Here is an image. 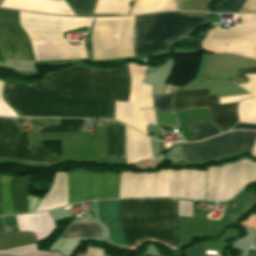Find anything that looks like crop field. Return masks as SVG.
Returning a JSON list of instances; mask_svg holds the SVG:
<instances>
[{
    "label": "crop field",
    "instance_id": "1",
    "mask_svg": "<svg viewBox=\"0 0 256 256\" xmlns=\"http://www.w3.org/2000/svg\"><path fill=\"white\" fill-rule=\"evenodd\" d=\"M58 93L34 89V85H5L3 89L4 100L19 116L114 119V101Z\"/></svg>",
    "mask_w": 256,
    "mask_h": 256
},
{
    "label": "crop field",
    "instance_id": "2",
    "mask_svg": "<svg viewBox=\"0 0 256 256\" xmlns=\"http://www.w3.org/2000/svg\"><path fill=\"white\" fill-rule=\"evenodd\" d=\"M35 88L94 99L127 101L128 67L93 70L75 66L69 70L48 74L45 80L36 81Z\"/></svg>",
    "mask_w": 256,
    "mask_h": 256
},
{
    "label": "crop field",
    "instance_id": "3",
    "mask_svg": "<svg viewBox=\"0 0 256 256\" xmlns=\"http://www.w3.org/2000/svg\"><path fill=\"white\" fill-rule=\"evenodd\" d=\"M128 248L146 238L176 246V199L119 200Z\"/></svg>",
    "mask_w": 256,
    "mask_h": 256
},
{
    "label": "crop field",
    "instance_id": "4",
    "mask_svg": "<svg viewBox=\"0 0 256 256\" xmlns=\"http://www.w3.org/2000/svg\"><path fill=\"white\" fill-rule=\"evenodd\" d=\"M36 61L86 58L83 46H70L62 34L88 26L91 18H69L19 12Z\"/></svg>",
    "mask_w": 256,
    "mask_h": 256
},
{
    "label": "crop field",
    "instance_id": "5",
    "mask_svg": "<svg viewBox=\"0 0 256 256\" xmlns=\"http://www.w3.org/2000/svg\"><path fill=\"white\" fill-rule=\"evenodd\" d=\"M209 16L163 12L135 16L132 46L135 57L166 52L177 40L188 35L192 29Z\"/></svg>",
    "mask_w": 256,
    "mask_h": 256
},
{
    "label": "crop field",
    "instance_id": "6",
    "mask_svg": "<svg viewBox=\"0 0 256 256\" xmlns=\"http://www.w3.org/2000/svg\"><path fill=\"white\" fill-rule=\"evenodd\" d=\"M119 173L91 172L87 169L67 172L68 204L92 199L118 198Z\"/></svg>",
    "mask_w": 256,
    "mask_h": 256
},
{
    "label": "crop field",
    "instance_id": "7",
    "mask_svg": "<svg viewBox=\"0 0 256 256\" xmlns=\"http://www.w3.org/2000/svg\"><path fill=\"white\" fill-rule=\"evenodd\" d=\"M17 118H0V159L12 160L17 132ZM28 132L20 131L15 147L14 159L50 164L57 162V156L30 141Z\"/></svg>",
    "mask_w": 256,
    "mask_h": 256
},
{
    "label": "crop field",
    "instance_id": "8",
    "mask_svg": "<svg viewBox=\"0 0 256 256\" xmlns=\"http://www.w3.org/2000/svg\"><path fill=\"white\" fill-rule=\"evenodd\" d=\"M173 111L208 107L210 120L223 132L237 123L236 102L219 104L218 95L209 90L176 91L172 98Z\"/></svg>",
    "mask_w": 256,
    "mask_h": 256
},
{
    "label": "crop field",
    "instance_id": "9",
    "mask_svg": "<svg viewBox=\"0 0 256 256\" xmlns=\"http://www.w3.org/2000/svg\"><path fill=\"white\" fill-rule=\"evenodd\" d=\"M256 132L233 131L218 135L199 143H185L181 146L184 160H200L220 157L237 150L252 149Z\"/></svg>",
    "mask_w": 256,
    "mask_h": 256
},
{
    "label": "crop field",
    "instance_id": "10",
    "mask_svg": "<svg viewBox=\"0 0 256 256\" xmlns=\"http://www.w3.org/2000/svg\"><path fill=\"white\" fill-rule=\"evenodd\" d=\"M130 94L128 102L115 101V119L146 134V124H156L153 109L139 110L138 100L146 67L129 64Z\"/></svg>",
    "mask_w": 256,
    "mask_h": 256
},
{
    "label": "crop field",
    "instance_id": "11",
    "mask_svg": "<svg viewBox=\"0 0 256 256\" xmlns=\"http://www.w3.org/2000/svg\"><path fill=\"white\" fill-rule=\"evenodd\" d=\"M170 170L157 173L120 172L119 198L169 197Z\"/></svg>",
    "mask_w": 256,
    "mask_h": 256
},
{
    "label": "crop field",
    "instance_id": "12",
    "mask_svg": "<svg viewBox=\"0 0 256 256\" xmlns=\"http://www.w3.org/2000/svg\"><path fill=\"white\" fill-rule=\"evenodd\" d=\"M204 40L256 46V14L242 19V24H235L233 30H210ZM254 59L256 60V50Z\"/></svg>",
    "mask_w": 256,
    "mask_h": 256
},
{
    "label": "crop field",
    "instance_id": "13",
    "mask_svg": "<svg viewBox=\"0 0 256 256\" xmlns=\"http://www.w3.org/2000/svg\"><path fill=\"white\" fill-rule=\"evenodd\" d=\"M3 215L26 213L25 178L0 177Z\"/></svg>",
    "mask_w": 256,
    "mask_h": 256
},
{
    "label": "crop field",
    "instance_id": "14",
    "mask_svg": "<svg viewBox=\"0 0 256 256\" xmlns=\"http://www.w3.org/2000/svg\"><path fill=\"white\" fill-rule=\"evenodd\" d=\"M0 40L7 59L34 61L29 40L20 26L0 28Z\"/></svg>",
    "mask_w": 256,
    "mask_h": 256
},
{
    "label": "crop field",
    "instance_id": "15",
    "mask_svg": "<svg viewBox=\"0 0 256 256\" xmlns=\"http://www.w3.org/2000/svg\"><path fill=\"white\" fill-rule=\"evenodd\" d=\"M96 203L99 222L104 224L109 232V243L126 246L123 228L120 224L118 200H99Z\"/></svg>",
    "mask_w": 256,
    "mask_h": 256
},
{
    "label": "crop field",
    "instance_id": "16",
    "mask_svg": "<svg viewBox=\"0 0 256 256\" xmlns=\"http://www.w3.org/2000/svg\"><path fill=\"white\" fill-rule=\"evenodd\" d=\"M19 231H32L37 240L46 237L55 224L48 212L16 216Z\"/></svg>",
    "mask_w": 256,
    "mask_h": 256
},
{
    "label": "crop field",
    "instance_id": "17",
    "mask_svg": "<svg viewBox=\"0 0 256 256\" xmlns=\"http://www.w3.org/2000/svg\"><path fill=\"white\" fill-rule=\"evenodd\" d=\"M126 162L152 158L150 139L125 125Z\"/></svg>",
    "mask_w": 256,
    "mask_h": 256
},
{
    "label": "crop field",
    "instance_id": "18",
    "mask_svg": "<svg viewBox=\"0 0 256 256\" xmlns=\"http://www.w3.org/2000/svg\"><path fill=\"white\" fill-rule=\"evenodd\" d=\"M67 204V187L65 173H56L50 190L42 199L36 212L53 209Z\"/></svg>",
    "mask_w": 256,
    "mask_h": 256
},
{
    "label": "crop field",
    "instance_id": "19",
    "mask_svg": "<svg viewBox=\"0 0 256 256\" xmlns=\"http://www.w3.org/2000/svg\"><path fill=\"white\" fill-rule=\"evenodd\" d=\"M108 158L125 157L124 125L105 120Z\"/></svg>",
    "mask_w": 256,
    "mask_h": 256
},
{
    "label": "crop field",
    "instance_id": "20",
    "mask_svg": "<svg viewBox=\"0 0 256 256\" xmlns=\"http://www.w3.org/2000/svg\"><path fill=\"white\" fill-rule=\"evenodd\" d=\"M86 131L84 119H58V125L36 126V133Z\"/></svg>",
    "mask_w": 256,
    "mask_h": 256
},
{
    "label": "crop field",
    "instance_id": "21",
    "mask_svg": "<svg viewBox=\"0 0 256 256\" xmlns=\"http://www.w3.org/2000/svg\"><path fill=\"white\" fill-rule=\"evenodd\" d=\"M234 44V43H233ZM202 41V49L223 53H235L253 58L255 47Z\"/></svg>",
    "mask_w": 256,
    "mask_h": 256
},
{
    "label": "crop field",
    "instance_id": "22",
    "mask_svg": "<svg viewBox=\"0 0 256 256\" xmlns=\"http://www.w3.org/2000/svg\"><path fill=\"white\" fill-rule=\"evenodd\" d=\"M194 141L222 133L211 121L186 124Z\"/></svg>",
    "mask_w": 256,
    "mask_h": 256
},
{
    "label": "crop field",
    "instance_id": "23",
    "mask_svg": "<svg viewBox=\"0 0 256 256\" xmlns=\"http://www.w3.org/2000/svg\"><path fill=\"white\" fill-rule=\"evenodd\" d=\"M61 237H103V234L97 224H83L70 225L67 232Z\"/></svg>",
    "mask_w": 256,
    "mask_h": 256
},
{
    "label": "crop field",
    "instance_id": "24",
    "mask_svg": "<svg viewBox=\"0 0 256 256\" xmlns=\"http://www.w3.org/2000/svg\"><path fill=\"white\" fill-rule=\"evenodd\" d=\"M239 122L256 124V98L241 100L238 103Z\"/></svg>",
    "mask_w": 256,
    "mask_h": 256
},
{
    "label": "crop field",
    "instance_id": "25",
    "mask_svg": "<svg viewBox=\"0 0 256 256\" xmlns=\"http://www.w3.org/2000/svg\"><path fill=\"white\" fill-rule=\"evenodd\" d=\"M1 255H16V256H60L57 252H38L36 250V245H28L13 249H7L0 251Z\"/></svg>",
    "mask_w": 256,
    "mask_h": 256
},
{
    "label": "crop field",
    "instance_id": "26",
    "mask_svg": "<svg viewBox=\"0 0 256 256\" xmlns=\"http://www.w3.org/2000/svg\"><path fill=\"white\" fill-rule=\"evenodd\" d=\"M175 89L176 86L168 84L163 96H154V108L161 111H172L170 108V96Z\"/></svg>",
    "mask_w": 256,
    "mask_h": 256
},
{
    "label": "crop field",
    "instance_id": "27",
    "mask_svg": "<svg viewBox=\"0 0 256 256\" xmlns=\"http://www.w3.org/2000/svg\"><path fill=\"white\" fill-rule=\"evenodd\" d=\"M244 0H222L214 6L213 12L238 13Z\"/></svg>",
    "mask_w": 256,
    "mask_h": 256
},
{
    "label": "crop field",
    "instance_id": "28",
    "mask_svg": "<svg viewBox=\"0 0 256 256\" xmlns=\"http://www.w3.org/2000/svg\"><path fill=\"white\" fill-rule=\"evenodd\" d=\"M237 73L240 74H256V66L238 68ZM248 78L247 84L241 85L248 90L252 96H256V75H245Z\"/></svg>",
    "mask_w": 256,
    "mask_h": 256
},
{
    "label": "crop field",
    "instance_id": "29",
    "mask_svg": "<svg viewBox=\"0 0 256 256\" xmlns=\"http://www.w3.org/2000/svg\"><path fill=\"white\" fill-rule=\"evenodd\" d=\"M151 98H152V85L142 83V89H141L140 101H139L140 109L152 108Z\"/></svg>",
    "mask_w": 256,
    "mask_h": 256
},
{
    "label": "crop field",
    "instance_id": "30",
    "mask_svg": "<svg viewBox=\"0 0 256 256\" xmlns=\"http://www.w3.org/2000/svg\"><path fill=\"white\" fill-rule=\"evenodd\" d=\"M18 24V14L15 11L0 9V26Z\"/></svg>",
    "mask_w": 256,
    "mask_h": 256
},
{
    "label": "crop field",
    "instance_id": "31",
    "mask_svg": "<svg viewBox=\"0 0 256 256\" xmlns=\"http://www.w3.org/2000/svg\"><path fill=\"white\" fill-rule=\"evenodd\" d=\"M71 9L91 11L94 0H65Z\"/></svg>",
    "mask_w": 256,
    "mask_h": 256
},
{
    "label": "crop field",
    "instance_id": "32",
    "mask_svg": "<svg viewBox=\"0 0 256 256\" xmlns=\"http://www.w3.org/2000/svg\"><path fill=\"white\" fill-rule=\"evenodd\" d=\"M157 124H176L172 113H163L156 110Z\"/></svg>",
    "mask_w": 256,
    "mask_h": 256
},
{
    "label": "crop field",
    "instance_id": "33",
    "mask_svg": "<svg viewBox=\"0 0 256 256\" xmlns=\"http://www.w3.org/2000/svg\"><path fill=\"white\" fill-rule=\"evenodd\" d=\"M204 253H205V243L197 244L185 251L186 256H204Z\"/></svg>",
    "mask_w": 256,
    "mask_h": 256
},
{
    "label": "crop field",
    "instance_id": "34",
    "mask_svg": "<svg viewBox=\"0 0 256 256\" xmlns=\"http://www.w3.org/2000/svg\"><path fill=\"white\" fill-rule=\"evenodd\" d=\"M251 97L250 95H244V96H234V97H224V98H219L220 103L224 102H233V101H239L241 99L249 98Z\"/></svg>",
    "mask_w": 256,
    "mask_h": 256
},
{
    "label": "crop field",
    "instance_id": "35",
    "mask_svg": "<svg viewBox=\"0 0 256 256\" xmlns=\"http://www.w3.org/2000/svg\"><path fill=\"white\" fill-rule=\"evenodd\" d=\"M233 129H255L256 130V125H254V124H240V123H237L230 130H233Z\"/></svg>",
    "mask_w": 256,
    "mask_h": 256
},
{
    "label": "crop field",
    "instance_id": "36",
    "mask_svg": "<svg viewBox=\"0 0 256 256\" xmlns=\"http://www.w3.org/2000/svg\"><path fill=\"white\" fill-rule=\"evenodd\" d=\"M252 153H255V154H256V142H255V145H254V148H253Z\"/></svg>",
    "mask_w": 256,
    "mask_h": 256
},
{
    "label": "crop field",
    "instance_id": "37",
    "mask_svg": "<svg viewBox=\"0 0 256 256\" xmlns=\"http://www.w3.org/2000/svg\"><path fill=\"white\" fill-rule=\"evenodd\" d=\"M0 215H1V207H0Z\"/></svg>",
    "mask_w": 256,
    "mask_h": 256
},
{
    "label": "crop field",
    "instance_id": "38",
    "mask_svg": "<svg viewBox=\"0 0 256 256\" xmlns=\"http://www.w3.org/2000/svg\"><path fill=\"white\" fill-rule=\"evenodd\" d=\"M141 256H147V255H144V254H143V255H141Z\"/></svg>",
    "mask_w": 256,
    "mask_h": 256
}]
</instances>
